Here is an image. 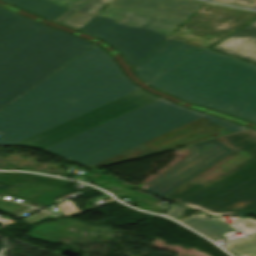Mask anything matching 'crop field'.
Instances as JSON below:
<instances>
[{"instance_id":"1","label":"crop field","mask_w":256,"mask_h":256,"mask_svg":"<svg viewBox=\"0 0 256 256\" xmlns=\"http://www.w3.org/2000/svg\"><path fill=\"white\" fill-rule=\"evenodd\" d=\"M250 129L215 138L227 130L202 117L89 168L96 169L214 138L234 152L163 199L210 215L256 216V132ZM236 223L246 235L256 233V220L245 218Z\"/></svg>"},{"instance_id":"2","label":"crop field","mask_w":256,"mask_h":256,"mask_svg":"<svg viewBox=\"0 0 256 256\" xmlns=\"http://www.w3.org/2000/svg\"><path fill=\"white\" fill-rule=\"evenodd\" d=\"M136 90L95 45L0 111V144H15Z\"/></svg>"},{"instance_id":"3","label":"crop field","mask_w":256,"mask_h":256,"mask_svg":"<svg viewBox=\"0 0 256 256\" xmlns=\"http://www.w3.org/2000/svg\"><path fill=\"white\" fill-rule=\"evenodd\" d=\"M19 16L0 8V110L95 45Z\"/></svg>"},{"instance_id":"4","label":"crop field","mask_w":256,"mask_h":256,"mask_svg":"<svg viewBox=\"0 0 256 256\" xmlns=\"http://www.w3.org/2000/svg\"><path fill=\"white\" fill-rule=\"evenodd\" d=\"M149 86L256 123V65L206 50Z\"/></svg>"},{"instance_id":"5","label":"crop field","mask_w":256,"mask_h":256,"mask_svg":"<svg viewBox=\"0 0 256 256\" xmlns=\"http://www.w3.org/2000/svg\"><path fill=\"white\" fill-rule=\"evenodd\" d=\"M201 116L232 132L247 129L161 98L46 150L91 166Z\"/></svg>"},{"instance_id":"6","label":"crop field","mask_w":256,"mask_h":256,"mask_svg":"<svg viewBox=\"0 0 256 256\" xmlns=\"http://www.w3.org/2000/svg\"><path fill=\"white\" fill-rule=\"evenodd\" d=\"M254 18L256 12L205 3L195 16L133 69L150 84Z\"/></svg>"},{"instance_id":"7","label":"crop field","mask_w":256,"mask_h":256,"mask_svg":"<svg viewBox=\"0 0 256 256\" xmlns=\"http://www.w3.org/2000/svg\"><path fill=\"white\" fill-rule=\"evenodd\" d=\"M179 151L181 158L136 188L147 186L141 190L162 198L233 152L214 139Z\"/></svg>"},{"instance_id":"8","label":"crop field","mask_w":256,"mask_h":256,"mask_svg":"<svg viewBox=\"0 0 256 256\" xmlns=\"http://www.w3.org/2000/svg\"><path fill=\"white\" fill-rule=\"evenodd\" d=\"M159 98L138 90L15 145L45 149Z\"/></svg>"},{"instance_id":"9","label":"crop field","mask_w":256,"mask_h":256,"mask_svg":"<svg viewBox=\"0 0 256 256\" xmlns=\"http://www.w3.org/2000/svg\"><path fill=\"white\" fill-rule=\"evenodd\" d=\"M203 3L196 0H174L118 51L129 64L135 66Z\"/></svg>"},{"instance_id":"10","label":"crop field","mask_w":256,"mask_h":256,"mask_svg":"<svg viewBox=\"0 0 256 256\" xmlns=\"http://www.w3.org/2000/svg\"><path fill=\"white\" fill-rule=\"evenodd\" d=\"M146 0H112L104 11L94 16L80 31L104 40Z\"/></svg>"},{"instance_id":"11","label":"crop field","mask_w":256,"mask_h":256,"mask_svg":"<svg viewBox=\"0 0 256 256\" xmlns=\"http://www.w3.org/2000/svg\"><path fill=\"white\" fill-rule=\"evenodd\" d=\"M173 0H147L104 41L118 50Z\"/></svg>"},{"instance_id":"12","label":"crop field","mask_w":256,"mask_h":256,"mask_svg":"<svg viewBox=\"0 0 256 256\" xmlns=\"http://www.w3.org/2000/svg\"><path fill=\"white\" fill-rule=\"evenodd\" d=\"M211 48L256 63V21Z\"/></svg>"},{"instance_id":"13","label":"crop field","mask_w":256,"mask_h":256,"mask_svg":"<svg viewBox=\"0 0 256 256\" xmlns=\"http://www.w3.org/2000/svg\"><path fill=\"white\" fill-rule=\"evenodd\" d=\"M210 239L216 241L231 237L243 236L234 224H229L223 216H214L210 218L208 215L197 213L181 221Z\"/></svg>"},{"instance_id":"14","label":"crop field","mask_w":256,"mask_h":256,"mask_svg":"<svg viewBox=\"0 0 256 256\" xmlns=\"http://www.w3.org/2000/svg\"><path fill=\"white\" fill-rule=\"evenodd\" d=\"M53 21L78 0H4Z\"/></svg>"},{"instance_id":"15","label":"crop field","mask_w":256,"mask_h":256,"mask_svg":"<svg viewBox=\"0 0 256 256\" xmlns=\"http://www.w3.org/2000/svg\"><path fill=\"white\" fill-rule=\"evenodd\" d=\"M103 7L104 5L80 0L54 20V22L65 24L79 30Z\"/></svg>"},{"instance_id":"16","label":"crop field","mask_w":256,"mask_h":256,"mask_svg":"<svg viewBox=\"0 0 256 256\" xmlns=\"http://www.w3.org/2000/svg\"><path fill=\"white\" fill-rule=\"evenodd\" d=\"M224 246L234 256H256V235L229 240Z\"/></svg>"},{"instance_id":"17","label":"crop field","mask_w":256,"mask_h":256,"mask_svg":"<svg viewBox=\"0 0 256 256\" xmlns=\"http://www.w3.org/2000/svg\"><path fill=\"white\" fill-rule=\"evenodd\" d=\"M216 2L226 3L240 7H254L256 8V0H212Z\"/></svg>"},{"instance_id":"18","label":"crop field","mask_w":256,"mask_h":256,"mask_svg":"<svg viewBox=\"0 0 256 256\" xmlns=\"http://www.w3.org/2000/svg\"><path fill=\"white\" fill-rule=\"evenodd\" d=\"M188 207L180 206L177 204H174L170 207V209L167 211L168 216L170 217H176L180 213L184 212Z\"/></svg>"},{"instance_id":"19","label":"crop field","mask_w":256,"mask_h":256,"mask_svg":"<svg viewBox=\"0 0 256 256\" xmlns=\"http://www.w3.org/2000/svg\"><path fill=\"white\" fill-rule=\"evenodd\" d=\"M89 1H93V2H97V3H100V4L106 5L111 0H89Z\"/></svg>"},{"instance_id":"20","label":"crop field","mask_w":256,"mask_h":256,"mask_svg":"<svg viewBox=\"0 0 256 256\" xmlns=\"http://www.w3.org/2000/svg\"><path fill=\"white\" fill-rule=\"evenodd\" d=\"M229 133H231V132L227 131V132H225V133H223V134H221L219 136H223V135H226V134H229ZM219 136H217V137H219Z\"/></svg>"}]
</instances>
